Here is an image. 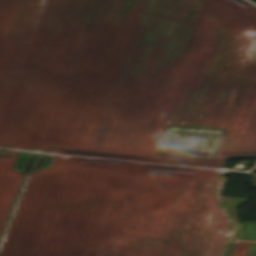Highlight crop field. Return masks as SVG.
I'll return each mask as SVG.
<instances>
[{
  "label": "crop field",
  "mask_w": 256,
  "mask_h": 256,
  "mask_svg": "<svg viewBox=\"0 0 256 256\" xmlns=\"http://www.w3.org/2000/svg\"><path fill=\"white\" fill-rule=\"evenodd\" d=\"M235 223L237 225V229L233 239L256 241V231L254 229V224L249 222H242L240 227L238 221H235Z\"/></svg>",
  "instance_id": "8a807250"
},
{
  "label": "crop field",
  "mask_w": 256,
  "mask_h": 256,
  "mask_svg": "<svg viewBox=\"0 0 256 256\" xmlns=\"http://www.w3.org/2000/svg\"><path fill=\"white\" fill-rule=\"evenodd\" d=\"M223 199H224L233 219L238 220L235 208L237 205H240L248 200L237 198V197H223Z\"/></svg>",
  "instance_id": "ac0d7876"
},
{
  "label": "crop field",
  "mask_w": 256,
  "mask_h": 256,
  "mask_svg": "<svg viewBox=\"0 0 256 256\" xmlns=\"http://www.w3.org/2000/svg\"><path fill=\"white\" fill-rule=\"evenodd\" d=\"M250 244L238 243L233 256H246Z\"/></svg>",
  "instance_id": "34b2d1b8"
}]
</instances>
